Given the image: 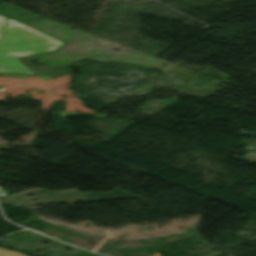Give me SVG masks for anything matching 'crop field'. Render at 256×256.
Masks as SVG:
<instances>
[{"label": "crop field", "mask_w": 256, "mask_h": 256, "mask_svg": "<svg viewBox=\"0 0 256 256\" xmlns=\"http://www.w3.org/2000/svg\"><path fill=\"white\" fill-rule=\"evenodd\" d=\"M59 44L38 31L8 20L4 37L0 41V58L32 55L52 50Z\"/></svg>", "instance_id": "8a807250"}, {"label": "crop field", "mask_w": 256, "mask_h": 256, "mask_svg": "<svg viewBox=\"0 0 256 256\" xmlns=\"http://www.w3.org/2000/svg\"><path fill=\"white\" fill-rule=\"evenodd\" d=\"M36 58V55H32L27 57H20L17 59L20 60L24 65H26L30 70H32L37 76L44 80L73 73L64 65L56 67H47L45 65L35 66L29 62Z\"/></svg>", "instance_id": "ac0d7876"}, {"label": "crop field", "mask_w": 256, "mask_h": 256, "mask_svg": "<svg viewBox=\"0 0 256 256\" xmlns=\"http://www.w3.org/2000/svg\"><path fill=\"white\" fill-rule=\"evenodd\" d=\"M32 74L16 59L0 60V75L2 76L20 77Z\"/></svg>", "instance_id": "34b2d1b8"}, {"label": "crop field", "mask_w": 256, "mask_h": 256, "mask_svg": "<svg viewBox=\"0 0 256 256\" xmlns=\"http://www.w3.org/2000/svg\"><path fill=\"white\" fill-rule=\"evenodd\" d=\"M5 20H6V18L0 16V39H1V36H2V33H3V27H4V24H5Z\"/></svg>", "instance_id": "412701ff"}, {"label": "crop field", "mask_w": 256, "mask_h": 256, "mask_svg": "<svg viewBox=\"0 0 256 256\" xmlns=\"http://www.w3.org/2000/svg\"><path fill=\"white\" fill-rule=\"evenodd\" d=\"M152 256H159V255H158V253H156V254H154V255H152Z\"/></svg>", "instance_id": "f4fd0767"}]
</instances>
